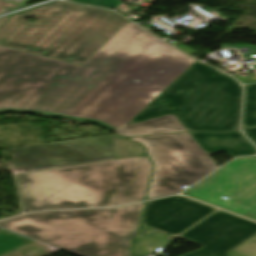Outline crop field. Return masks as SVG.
<instances>
[{
  "instance_id": "00972430",
  "label": "crop field",
  "mask_w": 256,
  "mask_h": 256,
  "mask_svg": "<svg viewBox=\"0 0 256 256\" xmlns=\"http://www.w3.org/2000/svg\"><path fill=\"white\" fill-rule=\"evenodd\" d=\"M255 47H256V46H255ZM254 56H255V58H256V54H255ZM254 72L256 73V70H254ZM255 73H254V74H255Z\"/></svg>"
},
{
  "instance_id": "dafd665d",
  "label": "crop field",
  "mask_w": 256,
  "mask_h": 256,
  "mask_svg": "<svg viewBox=\"0 0 256 256\" xmlns=\"http://www.w3.org/2000/svg\"><path fill=\"white\" fill-rule=\"evenodd\" d=\"M9 17H10V16H9ZM9 17L1 18V19H0V26H1Z\"/></svg>"
},
{
  "instance_id": "34b2d1b8",
  "label": "crop field",
  "mask_w": 256,
  "mask_h": 256,
  "mask_svg": "<svg viewBox=\"0 0 256 256\" xmlns=\"http://www.w3.org/2000/svg\"><path fill=\"white\" fill-rule=\"evenodd\" d=\"M142 204L37 212L0 221V226L82 256H129Z\"/></svg>"
},
{
  "instance_id": "28ad6ade",
  "label": "crop field",
  "mask_w": 256,
  "mask_h": 256,
  "mask_svg": "<svg viewBox=\"0 0 256 256\" xmlns=\"http://www.w3.org/2000/svg\"><path fill=\"white\" fill-rule=\"evenodd\" d=\"M152 168L146 156L141 157L134 182L115 193L113 206L143 200Z\"/></svg>"
},
{
  "instance_id": "92a150f3",
  "label": "crop field",
  "mask_w": 256,
  "mask_h": 256,
  "mask_svg": "<svg viewBox=\"0 0 256 256\" xmlns=\"http://www.w3.org/2000/svg\"><path fill=\"white\" fill-rule=\"evenodd\" d=\"M13 6H19V5H15V4H11V3H7V2H3L0 1V13H3L4 11H2L5 7H13Z\"/></svg>"
},
{
  "instance_id": "f4fd0767",
  "label": "crop field",
  "mask_w": 256,
  "mask_h": 256,
  "mask_svg": "<svg viewBox=\"0 0 256 256\" xmlns=\"http://www.w3.org/2000/svg\"><path fill=\"white\" fill-rule=\"evenodd\" d=\"M139 158L20 173L24 210L112 206L114 192L133 182Z\"/></svg>"
},
{
  "instance_id": "5142ce71",
  "label": "crop field",
  "mask_w": 256,
  "mask_h": 256,
  "mask_svg": "<svg viewBox=\"0 0 256 256\" xmlns=\"http://www.w3.org/2000/svg\"><path fill=\"white\" fill-rule=\"evenodd\" d=\"M113 141L118 159L144 155L143 147L138 143L127 139H119Z\"/></svg>"
},
{
  "instance_id": "d1516ede",
  "label": "crop field",
  "mask_w": 256,
  "mask_h": 256,
  "mask_svg": "<svg viewBox=\"0 0 256 256\" xmlns=\"http://www.w3.org/2000/svg\"><path fill=\"white\" fill-rule=\"evenodd\" d=\"M113 131L126 135H147L160 133H174L186 131L173 115L113 129Z\"/></svg>"
},
{
  "instance_id": "e52e79f7",
  "label": "crop field",
  "mask_w": 256,
  "mask_h": 256,
  "mask_svg": "<svg viewBox=\"0 0 256 256\" xmlns=\"http://www.w3.org/2000/svg\"><path fill=\"white\" fill-rule=\"evenodd\" d=\"M183 194L256 220V157L232 160Z\"/></svg>"
},
{
  "instance_id": "d9b57169",
  "label": "crop field",
  "mask_w": 256,
  "mask_h": 256,
  "mask_svg": "<svg viewBox=\"0 0 256 256\" xmlns=\"http://www.w3.org/2000/svg\"><path fill=\"white\" fill-rule=\"evenodd\" d=\"M29 241L31 240L2 230L0 231V255L16 247H19Z\"/></svg>"
},
{
  "instance_id": "dd49c442",
  "label": "crop field",
  "mask_w": 256,
  "mask_h": 256,
  "mask_svg": "<svg viewBox=\"0 0 256 256\" xmlns=\"http://www.w3.org/2000/svg\"><path fill=\"white\" fill-rule=\"evenodd\" d=\"M131 139L148 148L156 165L147 198L180 192L217 168L189 133Z\"/></svg>"
},
{
  "instance_id": "412701ff",
  "label": "crop field",
  "mask_w": 256,
  "mask_h": 256,
  "mask_svg": "<svg viewBox=\"0 0 256 256\" xmlns=\"http://www.w3.org/2000/svg\"><path fill=\"white\" fill-rule=\"evenodd\" d=\"M241 100L236 80L195 61L127 125L173 114L187 131H232Z\"/></svg>"
},
{
  "instance_id": "214f88e0",
  "label": "crop field",
  "mask_w": 256,
  "mask_h": 256,
  "mask_svg": "<svg viewBox=\"0 0 256 256\" xmlns=\"http://www.w3.org/2000/svg\"><path fill=\"white\" fill-rule=\"evenodd\" d=\"M243 132L256 144V127L245 129Z\"/></svg>"
},
{
  "instance_id": "4a817a6b",
  "label": "crop field",
  "mask_w": 256,
  "mask_h": 256,
  "mask_svg": "<svg viewBox=\"0 0 256 256\" xmlns=\"http://www.w3.org/2000/svg\"><path fill=\"white\" fill-rule=\"evenodd\" d=\"M69 1L97 5L105 8H116L122 3L120 0H69Z\"/></svg>"
},
{
  "instance_id": "bc2a9ffb",
  "label": "crop field",
  "mask_w": 256,
  "mask_h": 256,
  "mask_svg": "<svg viewBox=\"0 0 256 256\" xmlns=\"http://www.w3.org/2000/svg\"><path fill=\"white\" fill-rule=\"evenodd\" d=\"M9 110H17V109H2L0 110V112H4V111H9ZM19 111H28V110H19ZM30 112H35V113H45V114H50V115H56V116H62V117H67V118H71V119H75V120H85V119H78V118H74V117H70V116H66V115H61V114H56V113H47V112H36V111H30ZM86 121H92V122H97L100 123L110 129H112V127L106 125L103 122H99V121H94V120H86Z\"/></svg>"
},
{
  "instance_id": "5a996713",
  "label": "crop field",
  "mask_w": 256,
  "mask_h": 256,
  "mask_svg": "<svg viewBox=\"0 0 256 256\" xmlns=\"http://www.w3.org/2000/svg\"><path fill=\"white\" fill-rule=\"evenodd\" d=\"M214 210L179 196L148 227L176 236Z\"/></svg>"
},
{
  "instance_id": "8a807250",
  "label": "crop field",
  "mask_w": 256,
  "mask_h": 256,
  "mask_svg": "<svg viewBox=\"0 0 256 256\" xmlns=\"http://www.w3.org/2000/svg\"><path fill=\"white\" fill-rule=\"evenodd\" d=\"M195 60L127 22L82 66L0 46V109L124 126Z\"/></svg>"
},
{
  "instance_id": "3316defc",
  "label": "crop field",
  "mask_w": 256,
  "mask_h": 256,
  "mask_svg": "<svg viewBox=\"0 0 256 256\" xmlns=\"http://www.w3.org/2000/svg\"><path fill=\"white\" fill-rule=\"evenodd\" d=\"M206 155L226 151L229 156L256 154L255 146L240 131L227 134L190 133Z\"/></svg>"
},
{
  "instance_id": "d8731c3e",
  "label": "crop field",
  "mask_w": 256,
  "mask_h": 256,
  "mask_svg": "<svg viewBox=\"0 0 256 256\" xmlns=\"http://www.w3.org/2000/svg\"><path fill=\"white\" fill-rule=\"evenodd\" d=\"M256 234V223L217 211L179 238L203 246L183 256H227V252Z\"/></svg>"
},
{
  "instance_id": "733c2abd",
  "label": "crop field",
  "mask_w": 256,
  "mask_h": 256,
  "mask_svg": "<svg viewBox=\"0 0 256 256\" xmlns=\"http://www.w3.org/2000/svg\"><path fill=\"white\" fill-rule=\"evenodd\" d=\"M227 254L228 256H256V235Z\"/></svg>"
},
{
  "instance_id": "22f410ed",
  "label": "crop field",
  "mask_w": 256,
  "mask_h": 256,
  "mask_svg": "<svg viewBox=\"0 0 256 256\" xmlns=\"http://www.w3.org/2000/svg\"><path fill=\"white\" fill-rule=\"evenodd\" d=\"M178 196L162 198L158 200L148 201L145 204L141 230L144 229L154 218H156L170 203ZM140 230V231H141Z\"/></svg>"
},
{
  "instance_id": "ac0d7876",
  "label": "crop field",
  "mask_w": 256,
  "mask_h": 256,
  "mask_svg": "<svg viewBox=\"0 0 256 256\" xmlns=\"http://www.w3.org/2000/svg\"><path fill=\"white\" fill-rule=\"evenodd\" d=\"M37 18L32 25L23 21ZM128 20L108 10L57 2L12 15L0 45L82 65Z\"/></svg>"
},
{
  "instance_id": "cbeb9de0",
  "label": "crop field",
  "mask_w": 256,
  "mask_h": 256,
  "mask_svg": "<svg viewBox=\"0 0 256 256\" xmlns=\"http://www.w3.org/2000/svg\"><path fill=\"white\" fill-rule=\"evenodd\" d=\"M256 125V84L246 85L243 128Z\"/></svg>"
}]
</instances>
